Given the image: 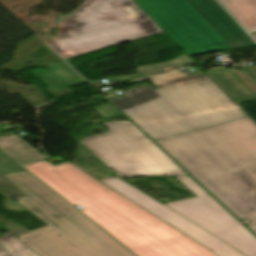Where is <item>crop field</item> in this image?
<instances>
[{"label":"crop field","mask_w":256,"mask_h":256,"mask_svg":"<svg viewBox=\"0 0 256 256\" xmlns=\"http://www.w3.org/2000/svg\"><path fill=\"white\" fill-rule=\"evenodd\" d=\"M33 74L52 91L87 82L64 61L56 62L45 72L37 70Z\"/></svg>","instance_id":"obj_11"},{"label":"crop field","mask_w":256,"mask_h":256,"mask_svg":"<svg viewBox=\"0 0 256 256\" xmlns=\"http://www.w3.org/2000/svg\"><path fill=\"white\" fill-rule=\"evenodd\" d=\"M57 29L47 44L64 59L163 31L133 0H86Z\"/></svg>","instance_id":"obj_5"},{"label":"crop field","mask_w":256,"mask_h":256,"mask_svg":"<svg viewBox=\"0 0 256 256\" xmlns=\"http://www.w3.org/2000/svg\"><path fill=\"white\" fill-rule=\"evenodd\" d=\"M47 161V160H46ZM27 166L138 256H215L209 250L66 162Z\"/></svg>","instance_id":"obj_1"},{"label":"crop field","mask_w":256,"mask_h":256,"mask_svg":"<svg viewBox=\"0 0 256 256\" xmlns=\"http://www.w3.org/2000/svg\"><path fill=\"white\" fill-rule=\"evenodd\" d=\"M111 132L82 143L119 177L187 175L130 121L103 123Z\"/></svg>","instance_id":"obj_7"},{"label":"crop field","mask_w":256,"mask_h":256,"mask_svg":"<svg viewBox=\"0 0 256 256\" xmlns=\"http://www.w3.org/2000/svg\"><path fill=\"white\" fill-rule=\"evenodd\" d=\"M18 199L48 226L19 236L38 256H135L27 171L3 175Z\"/></svg>","instance_id":"obj_4"},{"label":"crop field","mask_w":256,"mask_h":256,"mask_svg":"<svg viewBox=\"0 0 256 256\" xmlns=\"http://www.w3.org/2000/svg\"><path fill=\"white\" fill-rule=\"evenodd\" d=\"M151 80L158 89L143 84L111 101L154 140L247 116L207 75L178 70Z\"/></svg>","instance_id":"obj_3"},{"label":"crop field","mask_w":256,"mask_h":256,"mask_svg":"<svg viewBox=\"0 0 256 256\" xmlns=\"http://www.w3.org/2000/svg\"><path fill=\"white\" fill-rule=\"evenodd\" d=\"M129 200L185 233L217 256H244L228 244L194 225L184 217L171 211L163 204L123 182L117 177L100 180Z\"/></svg>","instance_id":"obj_9"},{"label":"crop field","mask_w":256,"mask_h":256,"mask_svg":"<svg viewBox=\"0 0 256 256\" xmlns=\"http://www.w3.org/2000/svg\"><path fill=\"white\" fill-rule=\"evenodd\" d=\"M25 171L20 165L0 150V174Z\"/></svg>","instance_id":"obj_16"},{"label":"crop field","mask_w":256,"mask_h":256,"mask_svg":"<svg viewBox=\"0 0 256 256\" xmlns=\"http://www.w3.org/2000/svg\"><path fill=\"white\" fill-rule=\"evenodd\" d=\"M0 242L9 250L13 256H37L23 243L11 234H6L0 238Z\"/></svg>","instance_id":"obj_15"},{"label":"crop field","mask_w":256,"mask_h":256,"mask_svg":"<svg viewBox=\"0 0 256 256\" xmlns=\"http://www.w3.org/2000/svg\"><path fill=\"white\" fill-rule=\"evenodd\" d=\"M248 30L256 28V0H220Z\"/></svg>","instance_id":"obj_13"},{"label":"crop field","mask_w":256,"mask_h":256,"mask_svg":"<svg viewBox=\"0 0 256 256\" xmlns=\"http://www.w3.org/2000/svg\"><path fill=\"white\" fill-rule=\"evenodd\" d=\"M184 186H186L196 196L208 194L201 186H199L190 176L175 177Z\"/></svg>","instance_id":"obj_18"},{"label":"crop field","mask_w":256,"mask_h":256,"mask_svg":"<svg viewBox=\"0 0 256 256\" xmlns=\"http://www.w3.org/2000/svg\"><path fill=\"white\" fill-rule=\"evenodd\" d=\"M94 110L103 117V119L109 120L111 117L123 116L110 102L94 108Z\"/></svg>","instance_id":"obj_17"},{"label":"crop field","mask_w":256,"mask_h":256,"mask_svg":"<svg viewBox=\"0 0 256 256\" xmlns=\"http://www.w3.org/2000/svg\"><path fill=\"white\" fill-rule=\"evenodd\" d=\"M0 149L21 166L45 158L15 134L0 139Z\"/></svg>","instance_id":"obj_12"},{"label":"crop field","mask_w":256,"mask_h":256,"mask_svg":"<svg viewBox=\"0 0 256 256\" xmlns=\"http://www.w3.org/2000/svg\"><path fill=\"white\" fill-rule=\"evenodd\" d=\"M253 33H256V31H254Z\"/></svg>","instance_id":"obj_22"},{"label":"crop field","mask_w":256,"mask_h":256,"mask_svg":"<svg viewBox=\"0 0 256 256\" xmlns=\"http://www.w3.org/2000/svg\"><path fill=\"white\" fill-rule=\"evenodd\" d=\"M207 75L234 101L256 97V67L208 69Z\"/></svg>","instance_id":"obj_10"},{"label":"crop field","mask_w":256,"mask_h":256,"mask_svg":"<svg viewBox=\"0 0 256 256\" xmlns=\"http://www.w3.org/2000/svg\"><path fill=\"white\" fill-rule=\"evenodd\" d=\"M166 205L227 241L247 256H256V237L210 195Z\"/></svg>","instance_id":"obj_8"},{"label":"crop field","mask_w":256,"mask_h":256,"mask_svg":"<svg viewBox=\"0 0 256 256\" xmlns=\"http://www.w3.org/2000/svg\"><path fill=\"white\" fill-rule=\"evenodd\" d=\"M236 103L256 122V99Z\"/></svg>","instance_id":"obj_19"},{"label":"crop field","mask_w":256,"mask_h":256,"mask_svg":"<svg viewBox=\"0 0 256 256\" xmlns=\"http://www.w3.org/2000/svg\"><path fill=\"white\" fill-rule=\"evenodd\" d=\"M189 56L255 42L214 0H134Z\"/></svg>","instance_id":"obj_6"},{"label":"crop field","mask_w":256,"mask_h":256,"mask_svg":"<svg viewBox=\"0 0 256 256\" xmlns=\"http://www.w3.org/2000/svg\"><path fill=\"white\" fill-rule=\"evenodd\" d=\"M190 64H194V62L191 59H189L186 55H184L172 61L157 63V64L138 68L139 74L113 77L110 79L112 82H116V81H124L129 79L143 78V77H147L148 74H151V75L161 74V73L169 72L176 68L183 67Z\"/></svg>","instance_id":"obj_14"},{"label":"crop field","mask_w":256,"mask_h":256,"mask_svg":"<svg viewBox=\"0 0 256 256\" xmlns=\"http://www.w3.org/2000/svg\"><path fill=\"white\" fill-rule=\"evenodd\" d=\"M256 39V35H252Z\"/></svg>","instance_id":"obj_21"},{"label":"crop field","mask_w":256,"mask_h":256,"mask_svg":"<svg viewBox=\"0 0 256 256\" xmlns=\"http://www.w3.org/2000/svg\"><path fill=\"white\" fill-rule=\"evenodd\" d=\"M0 256H10V255L0 246Z\"/></svg>","instance_id":"obj_20"},{"label":"crop field","mask_w":256,"mask_h":256,"mask_svg":"<svg viewBox=\"0 0 256 256\" xmlns=\"http://www.w3.org/2000/svg\"><path fill=\"white\" fill-rule=\"evenodd\" d=\"M156 142L256 233V124L249 117Z\"/></svg>","instance_id":"obj_2"}]
</instances>
